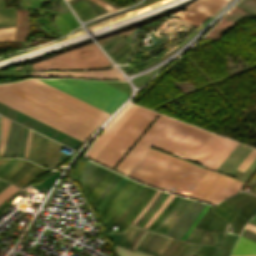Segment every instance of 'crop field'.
I'll list each match as a JSON object with an SVG mask.
<instances>
[{
	"mask_svg": "<svg viewBox=\"0 0 256 256\" xmlns=\"http://www.w3.org/2000/svg\"><path fill=\"white\" fill-rule=\"evenodd\" d=\"M207 172L192 163L149 149L128 175L163 189L168 184L176 186L175 193L188 196Z\"/></svg>",
	"mask_w": 256,
	"mask_h": 256,
	"instance_id": "crop-field-2",
	"label": "crop field"
},
{
	"mask_svg": "<svg viewBox=\"0 0 256 256\" xmlns=\"http://www.w3.org/2000/svg\"><path fill=\"white\" fill-rule=\"evenodd\" d=\"M23 2H24V7H25V9H27L25 0H23Z\"/></svg>",
	"mask_w": 256,
	"mask_h": 256,
	"instance_id": "crop-field-53",
	"label": "crop field"
},
{
	"mask_svg": "<svg viewBox=\"0 0 256 256\" xmlns=\"http://www.w3.org/2000/svg\"><path fill=\"white\" fill-rule=\"evenodd\" d=\"M254 256H256V255H254Z\"/></svg>",
	"mask_w": 256,
	"mask_h": 256,
	"instance_id": "crop-field-56",
	"label": "crop field"
},
{
	"mask_svg": "<svg viewBox=\"0 0 256 256\" xmlns=\"http://www.w3.org/2000/svg\"><path fill=\"white\" fill-rule=\"evenodd\" d=\"M4 160L5 159H0V163L3 162ZM10 160L11 159H6L3 163H1L0 170ZM20 160L21 159L19 158H14L9 163H7L5 167L0 171V177L2 178L7 172H9L13 167H15L20 162ZM45 170L46 169L38 165H35L22 159V161L8 174H6L3 177V179L22 187L30 180H32L35 176H37L39 173Z\"/></svg>",
	"mask_w": 256,
	"mask_h": 256,
	"instance_id": "crop-field-9",
	"label": "crop field"
},
{
	"mask_svg": "<svg viewBox=\"0 0 256 256\" xmlns=\"http://www.w3.org/2000/svg\"><path fill=\"white\" fill-rule=\"evenodd\" d=\"M168 193L165 194V196L162 198V200L159 202V204L156 206V208L153 210V212L148 216V218L143 222L141 227L146 223V221L151 217V215L160 207L161 203L164 201V199L167 197ZM153 216V215H152Z\"/></svg>",
	"mask_w": 256,
	"mask_h": 256,
	"instance_id": "crop-field-44",
	"label": "crop field"
},
{
	"mask_svg": "<svg viewBox=\"0 0 256 256\" xmlns=\"http://www.w3.org/2000/svg\"><path fill=\"white\" fill-rule=\"evenodd\" d=\"M214 246L201 245L196 253L197 256H215L216 252V235L213 231Z\"/></svg>",
	"mask_w": 256,
	"mask_h": 256,
	"instance_id": "crop-field-30",
	"label": "crop field"
},
{
	"mask_svg": "<svg viewBox=\"0 0 256 256\" xmlns=\"http://www.w3.org/2000/svg\"><path fill=\"white\" fill-rule=\"evenodd\" d=\"M183 198H181L178 203L174 206V208L170 211V213L159 223V225L156 227L155 231L159 229V227L165 222V220L170 216V214L174 211V209L178 206V204L182 201Z\"/></svg>",
	"mask_w": 256,
	"mask_h": 256,
	"instance_id": "crop-field-42",
	"label": "crop field"
},
{
	"mask_svg": "<svg viewBox=\"0 0 256 256\" xmlns=\"http://www.w3.org/2000/svg\"><path fill=\"white\" fill-rule=\"evenodd\" d=\"M7 121H8L7 118L1 116L0 156L2 154V148H3L4 137H5L6 127H7Z\"/></svg>",
	"mask_w": 256,
	"mask_h": 256,
	"instance_id": "crop-field-33",
	"label": "crop field"
},
{
	"mask_svg": "<svg viewBox=\"0 0 256 256\" xmlns=\"http://www.w3.org/2000/svg\"><path fill=\"white\" fill-rule=\"evenodd\" d=\"M254 254H256V242L240 236L231 256Z\"/></svg>",
	"mask_w": 256,
	"mask_h": 256,
	"instance_id": "crop-field-19",
	"label": "crop field"
},
{
	"mask_svg": "<svg viewBox=\"0 0 256 256\" xmlns=\"http://www.w3.org/2000/svg\"><path fill=\"white\" fill-rule=\"evenodd\" d=\"M189 243H187V245L185 246V248L182 250V252L180 253V255L179 256H182L183 255V253L186 251V249L189 247Z\"/></svg>",
	"mask_w": 256,
	"mask_h": 256,
	"instance_id": "crop-field-52",
	"label": "crop field"
},
{
	"mask_svg": "<svg viewBox=\"0 0 256 256\" xmlns=\"http://www.w3.org/2000/svg\"><path fill=\"white\" fill-rule=\"evenodd\" d=\"M180 199V197L175 196L173 200L162 210V212L157 216V218L151 223L148 229L154 230L158 223L169 213L173 205Z\"/></svg>",
	"mask_w": 256,
	"mask_h": 256,
	"instance_id": "crop-field-29",
	"label": "crop field"
},
{
	"mask_svg": "<svg viewBox=\"0 0 256 256\" xmlns=\"http://www.w3.org/2000/svg\"><path fill=\"white\" fill-rule=\"evenodd\" d=\"M179 121L164 117L160 115L146 133L140 138L135 146L118 164L115 170L127 175L128 172L134 167L144 153L149 149L157 137L162 134L168 136L169 133L176 127Z\"/></svg>",
	"mask_w": 256,
	"mask_h": 256,
	"instance_id": "crop-field-6",
	"label": "crop field"
},
{
	"mask_svg": "<svg viewBox=\"0 0 256 256\" xmlns=\"http://www.w3.org/2000/svg\"><path fill=\"white\" fill-rule=\"evenodd\" d=\"M15 27L1 28L0 29V41L12 40Z\"/></svg>",
	"mask_w": 256,
	"mask_h": 256,
	"instance_id": "crop-field-32",
	"label": "crop field"
},
{
	"mask_svg": "<svg viewBox=\"0 0 256 256\" xmlns=\"http://www.w3.org/2000/svg\"><path fill=\"white\" fill-rule=\"evenodd\" d=\"M88 3L85 0H80L72 5L71 8L74 10V12H78L81 9H83L85 6H87ZM96 13L89 7V5L87 7H85L83 10H81L80 12L77 13V16L80 20L82 21H86L89 18H91L93 15H95Z\"/></svg>",
	"mask_w": 256,
	"mask_h": 256,
	"instance_id": "crop-field-22",
	"label": "crop field"
},
{
	"mask_svg": "<svg viewBox=\"0 0 256 256\" xmlns=\"http://www.w3.org/2000/svg\"><path fill=\"white\" fill-rule=\"evenodd\" d=\"M93 1L96 2V3H98V4H100V5H102V6H104V7H106V8H108L110 11L116 10L115 8L109 6L108 4L102 2L101 0H93Z\"/></svg>",
	"mask_w": 256,
	"mask_h": 256,
	"instance_id": "crop-field-47",
	"label": "crop field"
},
{
	"mask_svg": "<svg viewBox=\"0 0 256 256\" xmlns=\"http://www.w3.org/2000/svg\"><path fill=\"white\" fill-rule=\"evenodd\" d=\"M237 144L212 134L191 161L216 170Z\"/></svg>",
	"mask_w": 256,
	"mask_h": 256,
	"instance_id": "crop-field-7",
	"label": "crop field"
},
{
	"mask_svg": "<svg viewBox=\"0 0 256 256\" xmlns=\"http://www.w3.org/2000/svg\"><path fill=\"white\" fill-rule=\"evenodd\" d=\"M116 173L108 171V173L103 177V179L98 183V185L93 189V191L88 196L92 204L100 196V194L105 190L108 184L115 177Z\"/></svg>",
	"mask_w": 256,
	"mask_h": 256,
	"instance_id": "crop-field-21",
	"label": "crop field"
},
{
	"mask_svg": "<svg viewBox=\"0 0 256 256\" xmlns=\"http://www.w3.org/2000/svg\"><path fill=\"white\" fill-rule=\"evenodd\" d=\"M0 102L81 141L103 121L25 81L1 84Z\"/></svg>",
	"mask_w": 256,
	"mask_h": 256,
	"instance_id": "crop-field-1",
	"label": "crop field"
},
{
	"mask_svg": "<svg viewBox=\"0 0 256 256\" xmlns=\"http://www.w3.org/2000/svg\"><path fill=\"white\" fill-rule=\"evenodd\" d=\"M130 46L131 45L128 42H126L125 44H123L121 47H119L109 55L115 62L124 64L128 59Z\"/></svg>",
	"mask_w": 256,
	"mask_h": 256,
	"instance_id": "crop-field-23",
	"label": "crop field"
},
{
	"mask_svg": "<svg viewBox=\"0 0 256 256\" xmlns=\"http://www.w3.org/2000/svg\"><path fill=\"white\" fill-rule=\"evenodd\" d=\"M61 15L65 19L70 30L79 26L77 20L74 18V16L71 14L70 11L64 12ZM61 15L59 14V15L55 16V25L59 29L61 35H64V34L68 33L70 30L68 29V27H67L66 23L64 22L63 18L61 17ZM37 20L42 26H44L51 32L59 34L58 31L56 30V28L53 26V24L49 21V19L47 17L37 18Z\"/></svg>",
	"mask_w": 256,
	"mask_h": 256,
	"instance_id": "crop-field-15",
	"label": "crop field"
},
{
	"mask_svg": "<svg viewBox=\"0 0 256 256\" xmlns=\"http://www.w3.org/2000/svg\"><path fill=\"white\" fill-rule=\"evenodd\" d=\"M28 32L27 10H17V29L14 41L23 42Z\"/></svg>",
	"mask_w": 256,
	"mask_h": 256,
	"instance_id": "crop-field-20",
	"label": "crop field"
},
{
	"mask_svg": "<svg viewBox=\"0 0 256 256\" xmlns=\"http://www.w3.org/2000/svg\"><path fill=\"white\" fill-rule=\"evenodd\" d=\"M35 1H36V3H39L38 0H35ZM35 1L34 0H29L31 11L36 9ZM37 7H38L40 15H43L40 4H37Z\"/></svg>",
	"mask_w": 256,
	"mask_h": 256,
	"instance_id": "crop-field-38",
	"label": "crop field"
},
{
	"mask_svg": "<svg viewBox=\"0 0 256 256\" xmlns=\"http://www.w3.org/2000/svg\"><path fill=\"white\" fill-rule=\"evenodd\" d=\"M236 182L229 177L209 171L189 196L215 204L225 197Z\"/></svg>",
	"mask_w": 256,
	"mask_h": 256,
	"instance_id": "crop-field-8",
	"label": "crop field"
},
{
	"mask_svg": "<svg viewBox=\"0 0 256 256\" xmlns=\"http://www.w3.org/2000/svg\"><path fill=\"white\" fill-rule=\"evenodd\" d=\"M31 133H32V131L29 130L28 131V137H27V143H26V149H25V155H24V157H26V158L28 156V150H29V144H30V139H31Z\"/></svg>",
	"mask_w": 256,
	"mask_h": 256,
	"instance_id": "crop-field-43",
	"label": "crop field"
},
{
	"mask_svg": "<svg viewBox=\"0 0 256 256\" xmlns=\"http://www.w3.org/2000/svg\"><path fill=\"white\" fill-rule=\"evenodd\" d=\"M122 178V176H121ZM121 178L118 180V182L121 180ZM118 182L116 183V185L118 184ZM115 185V186H116ZM115 186L108 192V194L102 199V201L98 204V206L96 208H98L100 206V204L106 199V197L112 192V190L115 188ZM120 191V188H118V190L115 192V194L110 198V200L104 204L101 209L98 211L99 213L112 201V199L117 195V193Z\"/></svg>",
	"mask_w": 256,
	"mask_h": 256,
	"instance_id": "crop-field-35",
	"label": "crop field"
},
{
	"mask_svg": "<svg viewBox=\"0 0 256 256\" xmlns=\"http://www.w3.org/2000/svg\"><path fill=\"white\" fill-rule=\"evenodd\" d=\"M103 167L99 166L95 169V171L92 173L91 177L89 178V180L86 182V184L83 186L84 190L86 188V186L91 183V181L93 180V178L101 171ZM108 171V169L103 168L102 171L94 178V180L92 181L91 184H89L86 188V193L87 195L90 193V191L96 186V184L101 180V178L106 174V172Z\"/></svg>",
	"mask_w": 256,
	"mask_h": 256,
	"instance_id": "crop-field-24",
	"label": "crop field"
},
{
	"mask_svg": "<svg viewBox=\"0 0 256 256\" xmlns=\"http://www.w3.org/2000/svg\"><path fill=\"white\" fill-rule=\"evenodd\" d=\"M228 226H229V223H228V225L226 226V230H225V232H227V230H228Z\"/></svg>",
	"mask_w": 256,
	"mask_h": 256,
	"instance_id": "crop-field-54",
	"label": "crop field"
},
{
	"mask_svg": "<svg viewBox=\"0 0 256 256\" xmlns=\"http://www.w3.org/2000/svg\"><path fill=\"white\" fill-rule=\"evenodd\" d=\"M120 175L118 176V178L115 180V182L110 186V188L104 193V195L100 198V200L97 202V204L101 201V199L106 195V193L114 186V184L116 183V181L119 179ZM97 204L95 205V207L97 206Z\"/></svg>",
	"mask_w": 256,
	"mask_h": 256,
	"instance_id": "crop-field-49",
	"label": "crop field"
},
{
	"mask_svg": "<svg viewBox=\"0 0 256 256\" xmlns=\"http://www.w3.org/2000/svg\"><path fill=\"white\" fill-rule=\"evenodd\" d=\"M41 135L34 132L32 133L31 145L29 150L28 158L36 162V157L39 149ZM48 138L42 136L41 145L37 157V162L44 165V160L47 151ZM60 144L49 139L48 152L45 160V166L54 167L56 166L58 155H59Z\"/></svg>",
	"mask_w": 256,
	"mask_h": 256,
	"instance_id": "crop-field-11",
	"label": "crop field"
},
{
	"mask_svg": "<svg viewBox=\"0 0 256 256\" xmlns=\"http://www.w3.org/2000/svg\"><path fill=\"white\" fill-rule=\"evenodd\" d=\"M122 40L120 37L117 38L115 41H113L112 43H110L109 45H107L105 48H103L104 50L109 48L110 46L114 45L115 43H117L118 41Z\"/></svg>",
	"mask_w": 256,
	"mask_h": 256,
	"instance_id": "crop-field-50",
	"label": "crop field"
},
{
	"mask_svg": "<svg viewBox=\"0 0 256 256\" xmlns=\"http://www.w3.org/2000/svg\"><path fill=\"white\" fill-rule=\"evenodd\" d=\"M216 208H218L219 210H221L223 213H225L229 218L234 219L236 217V215L238 214L235 210H233L231 207L227 206L224 203H219L218 205L214 206ZM216 208H212L211 211L217 213L219 216H221L223 219H225L226 221L232 223V220H230L225 214H223L222 212H220L218 209Z\"/></svg>",
	"mask_w": 256,
	"mask_h": 256,
	"instance_id": "crop-field-25",
	"label": "crop field"
},
{
	"mask_svg": "<svg viewBox=\"0 0 256 256\" xmlns=\"http://www.w3.org/2000/svg\"><path fill=\"white\" fill-rule=\"evenodd\" d=\"M152 234L151 231H149V233L146 235V237L143 239V241L140 243V245L137 247V251H139L141 249V247L143 246V244L146 242V240L149 238V236ZM159 234H156L153 232V234L150 236V238L147 240V242L144 244V246L142 247V249L140 250L141 252H145L148 253L149 249L151 248V246L153 245V243L155 242V240L158 238ZM162 235L159 236V238L156 240V242L154 243V245L152 246V248L150 249L148 254H151L152 251L156 248V246L159 244L160 240L162 239ZM167 239L166 236L163 237L162 241L160 242V244L157 246V248L154 250V252L152 253V255L154 256L155 253L159 250V248L163 245V243L165 242V240ZM171 238H168L166 240V242L164 243V245L160 248V250L156 253L155 256H159L162 251L165 249V247L167 246V244L170 242Z\"/></svg>",
	"mask_w": 256,
	"mask_h": 256,
	"instance_id": "crop-field-17",
	"label": "crop field"
},
{
	"mask_svg": "<svg viewBox=\"0 0 256 256\" xmlns=\"http://www.w3.org/2000/svg\"><path fill=\"white\" fill-rule=\"evenodd\" d=\"M25 81H27V82H29V83H31V84H33V85L43 89V90H45V91H47L49 93H52V94H54V95H56V96H58V97H60V98H62L64 100H66V101L76 105V106H79V107H81V108H83V109H85V110H87V111H89V112H91V113H93V114L103 118V119H105V118H107L109 116V114H107V113H105V112H103V111H101V110H99V109H97V108L87 104V103H84V102H82V101H80V100H78V99H76V98H74V97H72V96L62 92V91H59V90H57V89H55V88H53V87H51V86H49V85L39 81L37 79H28V80H25Z\"/></svg>",
	"mask_w": 256,
	"mask_h": 256,
	"instance_id": "crop-field-14",
	"label": "crop field"
},
{
	"mask_svg": "<svg viewBox=\"0 0 256 256\" xmlns=\"http://www.w3.org/2000/svg\"><path fill=\"white\" fill-rule=\"evenodd\" d=\"M131 183H132V180H130L129 179V181L126 183V185L124 186V188L120 191V193L114 198V200H118V198L129 188V186L131 185ZM136 182H133V184L130 186V188L120 197V199L118 200V202L117 203H115L116 201H112L100 214H99V216H100V218L101 217H103L107 212H108V210L112 207V205L114 204V206L109 210V212L103 217V218H101V220L103 221V223L105 222V220L118 208V206L122 203V201L125 199V197L133 190V188L136 186ZM143 187H144V185H142V184H137V186L135 187V189L127 196V198L123 201V203L120 205V207L106 220V222L104 223V225L107 227V228H111L112 226H113V224L115 223V221L118 219V217L122 214V212L125 210V208L131 203V201L134 199V197L138 194V193H140L141 192V190L143 189ZM147 186H145L144 187V189L142 190V192L139 194V195H137L136 196V198L133 200V202L127 207V209L123 212V214L120 216V218L117 220V222L115 223L116 225H118V223L123 219V217L129 212V210L134 206V204L139 200V198L144 194V192L147 190ZM150 189V187L148 188V190ZM147 190V191H148ZM152 190V188L148 191V193L150 192ZM147 191H146V193H147ZM153 191H154V189L148 194V196H147V194H146V196H147V198H146V196L144 197V195L140 198V200L135 204V206L134 207H136L137 206V204L141 201V199H142V201H143V203L141 204V202L139 203V207L137 208V210H136V208L135 209H131L132 210V212H131V210H130V215H129V213L124 217V222H123V220L119 223V225L118 226H120V224H121V226L120 227H118L117 229H116V231H118L123 225H124V223L127 221V219L131 216V214H132V216L128 219V221L125 223V225L119 230V231H122L126 226H127V224L132 220V218L136 215V213L141 209V207L147 202V200L151 197V195H152V193H153ZM156 191V190H155ZM155 193V192H154ZM152 198V197H151ZM150 198V199H151ZM150 199H149V201H150ZM148 201V202H149ZM147 202V203H148ZM146 203V204H147ZM145 204V205H146ZM144 205V206H145ZM143 206V207H144ZM142 207V208H143ZM142 210V209H141ZM140 210V211H141ZM139 211V212H140ZM139 212L137 213V215L139 214ZM136 215V216H137ZM136 216L133 218V219H135L136 218ZM131 223V222H130ZM129 223V224H130ZM127 228V227H126ZM125 228V229H126ZM124 229V230H125ZM123 230V231H124Z\"/></svg>",
	"mask_w": 256,
	"mask_h": 256,
	"instance_id": "crop-field-4",
	"label": "crop field"
},
{
	"mask_svg": "<svg viewBox=\"0 0 256 256\" xmlns=\"http://www.w3.org/2000/svg\"><path fill=\"white\" fill-rule=\"evenodd\" d=\"M118 256H146L127 249L118 247Z\"/></svg>",
	"mask_w": 256,
	"mask_h": 256,
	"instance_id": "crop-field-34",
	"label": "crop field"
},
{
	"mask_svg": "<svg viewBox=\"0 0 256 256\" xmlns=\"http://www.w3.org/2000/svg\"><path fill=\"white\" fill-rule=\"evenodd\" d=\"M237 237H238V236L231 234V238H230V234H228L227 243H226V249H225V254H224V256H226V253H227V248H228V244H229V238H230V245H229V249H228L227 256L230 255V252H231V250H232V247H233V245H234V243H235Z\"/></svg>",
	"mask_w": 256,
	"mask_h": 256,
	"instance_id": "crop-field-36",
	"label": "crop field"
},
{
	"mask_svg": "<svg viewBox=\"0 0 256 256\" xmlns=\"http://www.w3.org/2000/svg\"><path fill=\"white\" fill-rule=\"evenodd\" d=\"M197 233H198V231H195V232H194V234H193L192 238L190 239V241H191V242H193V241H194V239H195V237H196ZM202 233H203V231H200V232H199V234H198V236H197V238H196V240H195V242H194V243H197V244H199V243H200V239H201Z\"/></svg>",
	"mask_w": 256,
	"mask_h": 256,
	"instance_id": "crop-field-41",
	"label": "crop field"
},
{
	"mask_svg": "<svg viewBox=\"0 0 256 256\" xmlns=\"http://www.w3.org/2000/svg\"><path fill=\"white\" fill-rule=\"evenodd\" d=\"M212 206L209 207V209L203 214V216L199 219L197 224L194 226V229H202L206 230L210 222L213 220V218L216 216L213 212H211ZM228 222L220 218L219 216H216L214 220L209 225L208 229L213 230H221L224 232L225 226Z\"/></svg>",
	"mask_w": 256,
	"mask_h": 256,
	"instance_id": "crop-field-18",
	"label": "crop field"
},
{
	"mask_svg": "<svg viewBox=\"0 0 256 256\" xmlns=\"http://www.w3.org/2000/svg\"><path fill=\"white\" fill-rule=\"evenodd\" d=\"M227 1L228 0H195L185 7L187 9L185 12L179 11L174 15L197 26L205 18L220 9Z\"/></svg>",
	"mask_w": 256,
	"mask_h": 256,
	"instance_id": "crop-field-12",
	"label": "crop field"
},
{
	"mask_svg": "<svg viewBox=\"0 0 256 256\" xmlns=\"http://www.w3.org/2000/svg\"><path fill=\"white\" fill-rule=\"evenodd\" d=\"M109 114L127 98L128 94L102 82L77 79H39Z\"/></svg>",
	"mask_w": 256,
	"mask_h": 256,
	"instance_id": "crop-field-3",
	"label": "crop field"
},
{
	"mask_svg": "<svg viewBox=\"0 0 256 256\" xmlns=\"http://www.w3.org/2000/svg\"><path fill=\"white\" fill-rule=\"evenodd\" d=\"M254 195L240 192L222 202L228 204L233 207L237 211L242 208ZM239 214L234 219L231 224L232 233L240 234L242 228L244 227L246 221L256 213V196L252 198L241 210H239Z\"/></svg>",
	"mask_w": 256,
	"mask_h": 256,
	"instance_id": "crop-field-10",
	"label": "crop field"
},
{
	"mask_svg": "<svg viewBox=\"0 0 256 256\" xmlns=\"http://www.w3.org/2000/svg\"><path fill=\"white\" fill-rule=\"evenodd\" d=\"M84 164H85V161L80 160L78 166L76 165L77 168L75 167V168H76V170H75V175H76V179H77V180H79L80 171H81V169L83 168Z\"/></svg>",
	"mask_w": 256,
	"mask_h": 256,
	"instance_id": "crop-field-40",
	"label": "crop field"
},
{
	"mask_svg": "<svg viewBox=\"0 0 256 256\" xmlns=\"http://www.w3.org/2000/svg\"><path fill=\"white\" fill-rule=\"evenodd\" d=\"M131 227V225L128 227V229L126 230V232L123 234V236L120 238V240L117 242V245H119L120 244V242L123 240V238L125 237V235L127 234V232H128V230H129V228ZM133 228V227H132ZM132 228H130V230H129V232L131 231V229ZM137 229V227H135L134 226V228L132 229V231L130 232V234L128 235V237L126 238V240H125V238H124V243H123V241H122V247H124L125 246V244H126V242L128 241V239L131 237V235L134 233V231ZM140 231V228H138L137 230H136V232L133 234V236L130 238V240L128 241V243H127V245L125 246L126 248H128V246L131 244V242H132V240L134 239V237L137 235V233ZM143 229L139 232V234L135 237V239H134V241L132 242V244L130 245V249H132V247L134 246V244L136 243V241L138 240V238L140 237V235L143 233ZM128 232V233H129ZM126 235V236H127ZM121 244H120V246H121Z\"/></svg>",
	"mask_w": 256,
	"mask_h": 256,
	"instance_id": "crop-field-26",
	"label": "crop field"
},
{
	"mask_svg": "<svg viewBox=\"0 0 256 256\" xmlns=\"http://www.w3.org/2000/svg\"><path fill=\"white\" fill-rule=\"evenodd\" d=\"M209 207V205L206 204V206L204 207V209L202 210V212L199 214V216L195 219V221L191 224V226L188 228V230L186 231V233L184 234V236L182 237L183 240H185L186 236L188 235V233L191 231V229L193 228V226L195 225V223L198 221V219L201 217V215L207 210V208Z\"/></svg>",
	"mask_w": 256,
	"mask_h": 256,
	"instance_id": "crop-field-37",
	"label": "crop field"
},
{
	"mask_svg": "<svg viewBox=\"0 0 256 256\" xmlns=\"http://www.w3.org/2000/svg\"><path fill=\"white\" fill-rule=\"evenodd\" d=\"M9 186V184L0 180V193Z\"/></svg>",
	"mask_w": 256,
	"mask_h": 256,
	"instance_id": "crop-field-48",
	"label": "crop field"
},
{
	"mask_svg": "<svg viewBox=\"0 0 256 256\" xmlns=\"http://www.w3.org/2000/svg\"><path fill=\"white\" fill-rule=\"evenodd\" d=\"M164 194H165V192H164ZM164 194H163V195H164ZM163 195H162V197H163ZM162 197H161V198H162ZM155 205H156V204H155Z\"/></svg>",
	"mask_w": 256,
	"mask_h": 256,
	"instance_id": "crop-field-55",
	"label": "crop field"
},
{
	"mask_svg": "<svg viewBox=\"0 0 256 256\" xmlns=\"http://www.w3.org/2000/svg\"><path fill=\"white\" fill-rule=\"evenodd\" d=\"M243 183H241V182H237L236 183V185L231 189V191L226 195V197L227 196H230V195H232V194H234L239 188H240V186L242 185Z\"/></svg>",
	"mask_w": 256,
	"mask_h": 256,
	"instance_id": "crop-field-45",
	"label": "crop field"
},
{
	"mask_svg": "<svg viewBox=\"0 0 256 256\" xmlns=\"http://www.w3.org/2000/svg\"><path fill=\"white\" fill-rule=\"evenodd\" d=\"M255 157H256V150L252 149L250 153L244 158V160L239 164L236 170L243 172Z\"/></svg>",
	"mask_w": 256,
	"mask_h": 256,
	"instance_id": "crop-field-31",
	"label": "crop field"
},
{
	"mask_svg": "<svg viewBox=\"0 0 256 256\" xmlns=\"http://www.w3.org/2000/svg\"><path fill=\"white\" fill-rule=\"evenodd\" d=\"M34 76H80L88 78H118L122 77L114 67L106 70L88 72H34Z\"/></svg>",
	"mask_w": 256,
	"mask_h": 256,
	"instance_id": "crop-field-16",
	"label": "crop field"
},
{
	"mask_svg": "<svg viewBox=\"0 0 256 256\" xmlns=\"http://www.w3.org/2000/svg\"><path fill=\"white\" fill-rule=\"evenodd\" d=\"M246 228H248V229L253 230V231L256 232V226H253V225H251V224H249V223H247Z\"/></svg>",
	"mask_w": 256,
	"mask_h": 256,
	"instance_id": "crop-field-51",
	"label": "crop field"
},
{
	"mask_svg": "<svg viewBox=\"0 0 256 256\" xmlns=\"http://www.w3.org/2000/svg\"><path fill=\"white\" fill-rule=\"evenodd\" d=\"M159 193V190H157L155 196L151 199V201L146 205V207L141 211V213L138 215V217L132 221V223H134L140 216L141 214L147 209V207L152 203V201L154 200V198L156 197V195Z\"/></svg>",
	"mask_w": 256,
	"mask_h": 256,
	"instance_id": "crop-field-46",
	"label": "crop field"
},
{
	"mask_svg": "<svg viewBox=\"0 0 256 256\" xmlns=\"http://www.w3.org/2000/svg\"><path fill=\"white\" fill-rule=\"evenodd\" d=\"M137 106L127 104L117 116L104 128L109 130L108 132L103 131L102 134L95 140L91 145L86 157L94 159L95 156L101 151L106 143L112 138V136L118 131V129L124 124L129 116L134 112Z\"/></svg>",
	"mask_w": 256,
	"mask_h": 256,
	"instance_id": "crop-field-13",
	"label": "crop field"
},
{
	"mask_svg": "<svg viewBox=\"0 0 256 256\" xmlns=\"http://www.w3.org/2000/svg\"><path fill=\"white\" fill-rule=\"evenodd\" d=\"M184 201H185V198H184L183 201L179 204V206L175 209V211L182 205V203H183ZM189 202H190V200L188 199V200L183 204V206L181 207V209H180V208H179L180 210L178 209V210H179L178 213H177L178 210H177L176 212L174 211L175 214L177 213L176 215H175V214H174V215H175L176 217H178L179 214L183 211V209L188 205ZM191 202H192V200H191ZM191 202H190V203H191ZM190 203H189V205H190ZM189 205H188V206H189ZM188 206H187V207H188ZM187 207H186V208H187ZM186 208H185V209H186ZM185 209H184V210H185ZM174 212H173V213H174ZM173 213L171 214V216L173 215ZM182 213H183V212H182ZM182 213H181V214H182ZM174 215H173V216H174ZM171 216H170V217H171ZM173 216H172V217H173ZM170 217H169V218H170ZM172 217H171V218H172ZM176 217L172 218L171 221H170L169 218H168V219L166 220V222L169 220V221H170V222L168 221L169 224L167 225L168 222H167V223L165 222L167 226H166L165 223H164V224L161 226V228L158 230V232H159V231L162 229V227L165 225L166 227L164 226L165 229H164V227H163L164 230L162 229V230H163L162 233L166 234L167 231H168V230L171 228V226L174 224V222L178 219V218H176ZM171 218H170V219H171Z\"/></svg>",
	"mask_w": 256,
	"mask_h": 256,
	"instance_id": "crop-field-28",
	"label": "crop field"
},
{
	"mask_svg": "<svg viewBox=\"0 0 256 256\" xmlns=\"http://www.w3.org/2000/svg\"><path fill=\"white\" fill-rule=\"evenodd\" d=\"M2 7H4L3 0H0V8ZM0 11H1L2 26H8L6 8H2L0 9ZM7 11H8V23H9V26H12L14 25V20H15L13 7H8ZM0 26H1V22H0Z\"/></svg>",
	"mask_w": 256,
	"mask_h": 256,
	"instance_id": "crop-field-27",
	"label": "crop field"
},
{
	"mask_svg": "<svg viewBox=\"0 0 256 256\" xmlns=\"http://www.w3.org/2000/svg\"><path fill=\"white\" fill-rule=\"evenodd\" d=\"M35 70L82 69L112 65L94 43L73 51L34 63Z\"/></svg>",
	"mask_w": 256,
	"mask_h": 256,
	"instance_id": "crop-field-5",
	"label": "crop field"
},
{
	"mask_svg": "<svg viewBox=\"0 0 256 256\" xmlns=\"http://www.w3.org/2000/svg\"><path fill=\"white\" fill-rule=\"evenodd\" d=\"M197 248V245L191 244V246L188 248V250L185 252L183 256H193Z\"/></svg>",
	"mask_w": 256,
	"mask_h": 256,
	"instance_id": "crop-field-39",
	"label": "crop field"
}]
</instances>
